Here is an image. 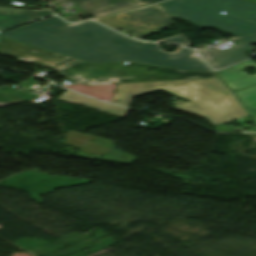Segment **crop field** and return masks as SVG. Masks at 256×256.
Instances as JSON below:
<instances>
[{
    "mask_svg": "<svg viewBox=\"0 0 256 256\" xmlns=\"http://www.w3.org/2000/svg\"><path fill=\"white\" fill-rule=\"evenodd\" d=\"M158 42L169 43V44L185 46V47H188L190 44L181 34L162 39Z\"/></svg>",
    "mask_w": 256,
    "mask_h": 256,
    "instance_id": "obj_15",
    "label": "crop field"
},
{
    "mask_svg": "<svg viewBox=\"0 0 256 256\" xmlns=\"http://www.w3.org/2000/svg\"><path fill=\"white\" fill-rule=\"evenodd\" d=\"M0 36L86 62L136 61L183 70L211 71L195 50L179 48L175 53L162 52L158 43L136 41L93 21L68 25L54 16Z\"/></svg>",
    "mask_w": 256,
    "mask_h": 256,
    "instance_id": "obj_1",
    "label": "crop field"
},
{
    "mask_svg": "<svg viewBox=\"0 0 256 256\" xmlns=\"http://www.w3.org/2000/svg\"><path fill=\"white\" fill-rule=\"evenodd\" d=\"M59 5H61V4H57V5H52V7H55V6H59Z\"/></svg>",
    "mask_w": 256,
    "mask_h": 256,
    "instance_id": "obj_19",
    "label": "crop field"
},
{
    "mask_svg": "<svg viewBox=\"0 0 256 256\" xmlns=\"http://www.w3.org/2000/svg\"><path fill=\"white\" fill-rule=\"evenodd\" d=\"M173 18L232 35L256 33V4L243 0H171L159 4ZM227 11L224 15L220 11Z\"/></svg>",
    "mask_w": 256,
    "mask_h": 256,
    "instance_id": "obj_3",
    "label": "crop field"
},
{
    "mask_svg": "<svg viewBox=\"0 0 256 256\" xmlns=\"http://www.w3.org/2000/svg\"><path fill=\"white\" fill-rule=\"evenodd\" d=\"M57 72L86 84L125 83L173 79L216 77L213 72H186L175 69L129 62L117 64H87L77 61Z\"/></svg>",
    "mask_w": 256,
    "mask_h": 256,
    "instance_id": "obj_4",
    "label": "crop field"
},
{
    "mask_svg": "<svg viewBox=\"0 0 256 256\" xmlns=\"http://www.w3.org/2000/svg\"><path fill=\"white\" fill-rule=\"evenodd\" d=\"M240 38L241 41L233 43L229 48L221 51L198 50L213 69H220L230 64L249 58L244 53L254 49L251 45L256 43V34L231 38Z\"/></svg>",
    "mask_w": 256,
    "mask_h": 256,
    "instance_id": "obj_8",
    "label": "crop field"
},
{
    "mask_svg": "<svg viewBox=\"0 0 256 256\" xmlns=\"http://www.w3.org/2000/svg\"><path fill=\"white\" fill-rule=\"evenodd\" d=\"M58 100L87 106L105 113H109V114H113L121 117L125 116L128 110L126 108H120V107L109 105L103 102L85 98L75 93H72L68 90L64 91L62 95L58 98Z\"/></svg>",
    "mask_w": 256,
    "mask_h": 256,
    "instance_id": "obj_11",
    "label": "crop field"
},
{
    "mask_svg": "<svg viewBox=\"0 0 256 256\" xmlns=\"http://www.w3.org/2000/svg\"><path fill=\"white\" fill-rule=\"evenodd\" d=\"M36 98L38 97H33L11 86H3L0 88V106L22 101H30L39 104L34 101Z\"/></svg>",
    "mask_w": 256,
    "mask_h": 256,
    "instance_id": "obj_13",
    "label": "crop field"
},
{
    "mask_svg": "<svg viewBox=\"0 0 256 256\" xmlns=\"http://www.w3.org/2000/svg\"><path fill=\"white\" fill-rule=\"evenodd\" d=\"M0 54L58 69L77 60L0 38Z\"/></svg>",
    "mask_w": 256,
    "mask_h": 256,
    "instance_id": "obj_7",
    "label": "crop field"
},
{
    "mask_svg": "<svg viewBox=\"0 0 256 256\" xmlns=\"http://www.w3.org/2000/svg\"><path fill=\"white\" fill-rule=\"evenodd\" d=\"M50 14L52 13L47 11H17L6 8H0V30Z\"/></svg>",
    "mask_w": 256,
    "mask_h": 256,
    "instance_id": "obj_12",
    "label": "crop field"
},
{
    "mask_svg": "<svg viewBox=\"0 0 256 256\" xmlns=\"http://www.w3.org/2000/svg\"><path fill=\"white\" fill-rule=\"evenodd\" d=\"M235 93L245 106L256 103V85L235 91Z\"/></svg>",
    "mask_w": 256,
    "mask_h": 256,
    "instance_id": "obj_14",
    "label": "crop field"
},
{
    "mask_svg": "<svg viewBox=\"0 0 256 256\" xmlns=\"http://www.w3.org/2000/svg\"><path fill=\"white\" fill-rule=\"evenodd\" d=\"M55 2L74 1L85 12L95 16H103L135 7L139 5L128 0H44Z\"/></svg>",
    "mask_w": 256,
    "mask_h": 256,
    "instance_id": "obj_9",
    "label": "crop field"
},
{
    "mask_svg": "<svg viewBox=\"0 0 256 256\" xmlns=\"http://www.w3.org/2000/svg\"><path fill=\"white\" fill-rule=\"evenodd\" d=\"M250 1L256 2V0H250Z\"/></svg>",
    "mask_w": 256,
    "mask_h": 256,
    "instance_id": "obj_20",
    "label": "crop field"
},
{
    "mask_svg": "<svg viewBox=\"0 0 256 256\" xmlns=\"http://www.w3.org/2000/svg\"><path fill=\"white\" fill-rule=\"evenodd\" d=\"M123 16L127 19L121 20L120 18ZM97 21L113 29L127 30L135 34L134 37L138 39L173 25L168 15L158 4L97 19ZM146 24L151 25L146 27Z\"/></svg>",
    "mask_w": 256,
    "mask_h": 256,
    "instance_id": "obj_5",
    "label": "crop field"
},
{
    "mask_svg": "<svg viewBox=\"0 0 256 256\" xmlns=\"http://www.w3.org/2000/svg\"><path fill=\"white\" fill-rule=\"evenodd\" d=\"M252 117L256 120V104L246 107Z\"/></svg>",
    "mask_w": 256,
    "mask_h": 256,
    "instance_id": "obj_18",
    "label": "crop field"
},
{
    "mask_svg": "<svg viewBox=\"0 0 256 256\" xmlns=\"http://www.w3.org/2000/svg\"><path fill=\"white\" fill-rule=\"evenodd\" d=\"M132 1H135L138 4L144 6V5H148V4H152V3L158 2L160 0H132Z\"/></svg>",
    "mask_w": 256,
    "mask_h": 256,
    "instance_id": "obj_17",
    "label": "crop field"
},
{
    "mask_svg": "<svg viewBox=\"0 0 256 256\" xmlns=\"http://www.w3.org/2000/svg\"><path fill=\"white\" fill-rule=\"evenodd\" d=\"M245 66H251L253 69L256 70V63L253 60H248L240 64L220 70L217 73L230 87L231 90L256 84V74L249 75L240 70Z\"/></svg>",
    "mask_w": 256,
    "mask_h": 256,
    "instance_id": "obj_10",
    "label": "crop field"
},
{
    "mask_svg": "<svg viewBox=\"0 0 256 256\" xmlns=\"http://www.w3.org/2000/svg\"><path fill=\"white\" fill-rule=\"evenodd\" d=\"M160 89L189 101H174V109L204 117L212 126L248 115L218 78L118 84L111 102L128 107L133 96Z\"/></svg>",
    "mask_w": 256,
    "mask_h": 256,
    "instance_id": "obj_2",
    "label": "crop field"
},
{
    "mask_svg": "<svg viewBox=\"0 0 256 256\" xmlns=\"http://www.w3.org/2000/svg\"><path fill=\"white\" fill-rule=\"evenodd\" d=\"M80 16L87 17L83 12H81V13H77L75 15L69 16V17L65 18V20L69 21V22L80 21V19H79Z\"/></svg>",
    "mask_w": 256,
    "mask_h": 256,
    "instance_id": "obj_16",
    "label": "crop field"
},
{
    "mask_svg": "<svg viewBox=\"0 0 256 256\" xmlns=\"http://www.w3.org/2000/svg\"><path fill=\"white\" fill-rule=\"evenodd\" d=\"M68 138H71L72 140H69ZM89 140L94 141L89 142ZM65 143L80 148L82 150L76 153L75 156L77 157L126 164H131L133 161L136 160L131 155L114 149V143L112 141L91 135H82L71 130H69L65 134ZM75 144H77L78 146H75ZM91 153L94 155H90Z\"/></svg>",
    "mask_w": 256,
    "mask_h": 256,
    "instance_id": "obj_6",
    "label": "crop field"
}]
</instances>
